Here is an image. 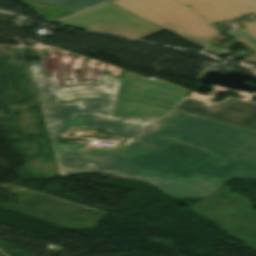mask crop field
<instances>
[{"mask_svg": "<svg viewBox=\"0 0 256 256\" xmlns=\"http://www.w3.org/2000/svg\"><path fill=\"white\" fill-rule=\"evenodd\" d=\"M204 51H206L208 53L216 52V53H220V54H229V53L232 52V51H228V50L218 48V47H215V46H211V45H209Z\"/></svg>", "mask_w": 256, "mask_h": 256, "instance_id": "d1516ede", "label": "crop field"}, {"mask_svg": "<svg viewBox=\"0 0 256 256\" xmlns=\"http://www.w3.org/2000/svg\"><path fill=\"white\" fill-rule=\"evenodd\" d=\"M175 109L256 130V103L229 99L211 108L191 99H184Z\"/></svg>", "mask_w": 256, "mask_h": 256, "instance_id": "d8731c3e", "label": "crop field"}, {"mask_svg": "<svg viewBox=\"0 0 256 256\" xmlns=\"http://www.w3.org/2000/svg\"><path fill=\"white\" fill-rule=\"evenodd\" d=\"M189 92L161 79L153 81L122 70L114 116L160 117L168 110L164 107L172 108ZM119 99L138 100L164 107Z\"/></svg>", "mask_w": 256, "mask_h": 256, "instance_id": "f4fd0767", "label": "crop field"}, {"mask_svg": "<svg viewBox=\"0 0 256 256\" xmlns=\"http://www.w3.org/2000/svg\"><path fill=\"white\" fill-rule=\"evenodd\" d=\"M184 5H190L200 18L212 24L230 20L248 13L256 14V0H178ZM245 28L231 31L228 35L253 51L243 60L256 62V23L244 21Z\"/></svg>", "mask_w": 256, "mask_h": 256, "instance_id": "e52e79f7", "label": "crop field"}, {"mask_svg": "<svg viewBox=\"0 0 256 256\" xmlns=\"http://www.w3.org/2000/svg\"><path fill=\"white\" fill-rule=\"evenodd\" d=\"M36 10L48 22L70 15L106 0H19Z\"/></svg>", "mask_w": 256, "mask_h": 256, "instance_id": "5a996713", "label": "crop field"}, {"mask_svg": "<svg viewBox=\"0 0 256 256\" xmlns=\"http://www.w3.org/2000/svg\"><path fill=\"white\" fill-rule=\"evenodd\" d=\"M119 82L120 78L107 74L100 95L117 96Z\"/></svg>", "mask_w": 256, "mask_h": 256, "instance_id": "28ad6ade", "label": "crop field"}, {"mask_svg": "<svg viewBox=\"0 0 256 256\" xmlns=\"http://www.w3.org/2000/svg\"><path fill=\"white\" fill-rule=\"evenodd\" d=\"M46 48L50 57V61L52 64V71H53L52 78L46 77L49 87L76 84V83H73L71 57L78 59V83H93L96 64H101V63H98L83 57H79L73 54H69L63 51H59L56 49H52L48 47ZM52 50L61 52L64 84H59ZM86 61L93 64L90 82H85ZM104 66H105L104 64H101L97 83H100Z\"/></svg>", "mask_w": 256, "mask_h": 256, "instance_id": "3316defc", "label": "crop field"}, {"mask_svg": "<svg viewBox=\"0 0 256 256\" xmlns=\"http://www.w3.org/2000/svg\"><path fill=\"white\" fill-rule=\"evenodd\" d=\"M50 140L60 175L98 173L149 182L172 198L205 197L218 188L197 181L186 183L157 176L147 179L127 173L96 171L118 151L100 152L79 144H60L57 139Z\"/></svg>", "mask_w": 256, "mask_h": 256, "instance_id": "34b2d1b8", "label": "crop field"}, {"mask_svg": "<svg viewBox=\"0 0 256 256\" xmlns=\"http://www.w3.org/2000/svg\"><path fill=\"white\" fill-rule=\"evenodd\" d=\"M111 3L201 48L220 33L176 0H114Z\"/></svg>", "mask_w": 256, "mask_h": 256, "instance_id": "412701ff", "label": "crop field"}, {"mask_svg": "<svg viewBox=\"0 0 256 256\" xmlns=\"http://www.w3.org/2000/svg\"><path fill=\"white\" fill-rule=\"evenodd\" d=\"M98 170L218 186L256 178V132L172 109Z\"/></svg>", "mask_w": 256, "mask_h": 256, "instance_id": "8a807250", "label": "crop field"}, {"mask_svg": "<svg viewBox=\"0 0 256 256\" xmlns=\"http://www.w3.org/2000/svg\"><path fill=\"white\" fill-rule=\"evenodd\" d=\"M79 30L142 39L164 29L109 2L60 21Z\"/></svg>", "mask_w": 256, "mask_h": 256, "instance_id": "dd49c442", "label": "crop field"}, {"mask_svg": "<svg viewBox=\"0 0 256 256\" xmlns=\"http://www.w3.org/2000/svg\"><path fill=\"white\" fill-rule=\"evenodd\" d=\"M47 133L66 134L70 129L105 130L113 136H132L142 132L157 118L113 117L117 97L99 96L101 84H79L48 88L40 60L28 62ZM68 97L110 98V100L67 99Z\"/></svg>", "mask_w": 256, "mask_h": 256, "instance_id": "ac0d7876", "label": "crop field"}]
</instances>
